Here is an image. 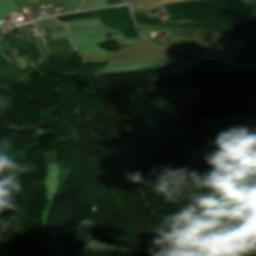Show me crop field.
Listing matches in <instances>:
<instances>
[{"label": "crop field", "mask_w": 256, "mask_h": 256, "mask_svg": "<svg viewBox=\"0 0 256 256\" xmlns=\"http://www.w3.org/2000/svg\"><path fill=\"white\" fill-rule=\"evenodd\" d=\"M172 34L198 37V38L216 41V42H220V43H225V44H229V45H234V46H238V47H241L244 42L243 40L231 39V38H227L222 35H218V34L207 32V31H200V30L174 29Z\"/></svg>", "instance_id": "ac0d7876"}, {"label": "crop field", "mask_w": 256, "mask_h": 256, "mask_svg": "<svg viewBox=\"0 0 256 256\" xmlns=\"http://www.w3.org/2000/svg\"><path fill=\"white\" fill-rule=\"evenodd\" d=\"M187 0H143L131 5V8L149 11L159 5ZM186 20L234 21L229 16L230 8L224 0H198L182 2Z\"/></svg>", "instance_id": "8a807250"}, {"label": "crop field", "mask_w": 256, "mask_h": 256, "mask_svg": "<svg viewBox=\"0 0 256 256\" xmlns=\"http://www.w3.org/2000/svg\"><path fill=\"white\" fill-rule=\"evenodd\" d=\"M56 18L61 22H64V21L74 20V19H89V18H98V17L95 11H88V12L70 14L62 17H56Z\"/></svg>", "instance_id": "34b2d1b8"}]
</instances>
